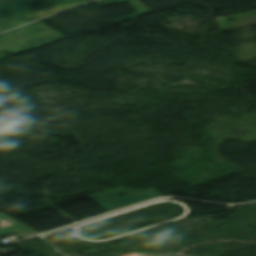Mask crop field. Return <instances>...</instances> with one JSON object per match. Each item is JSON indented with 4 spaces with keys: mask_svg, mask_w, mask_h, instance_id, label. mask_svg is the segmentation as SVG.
<instances>
[{
    "mask_svg": "<svg viewBox=\"0 0 256 256\" xmlns=\"http://www.w3.org/2000/svg\"><path fill=\"white\" fill-rule=\"evenodd\" d=\"M0 212V219H8V220H12L14 225L8 228H3L0 229V237L3 236H8V235H14L17 234L20 237L24 238V237H28L34 234H38L37 232H35L34 230L28 228L27 226L17 222L15 219L3 214Z\"/></svg>",
    "mask_w": 256,
    "mask_h": 256,
    "instance_id": "412701ff",
    "label": "crop field"
},
{
    "mask_svg": "<svg viewBox=\"0 0 256 256\" xmlns=\"http://www.w3.org/2000/svg\"><path fill=\"white\" fill-rule=\"evenodd\" d=\"M0 1H2V0H0Z\"/></svg>",
    "mask_w": 256,
    "mask_h": 256,
    "instance_id": "dd49c442",
    "label": "crop field"
},
{
    "mask_svg": "<svg viewBox=\"0 0 256 256\" xmlns=\"http://www.w3.org/2000/svg\"><path fill=\"white\" fill-rule=\"evenodd\" d=\"M92 0H6L0 2V24L18 25L63 11Z\"/></svg>",
    "mask_w": 256,
    "mask_h": 256,
    "instance_id": "8a807250",
    "label": "crop field"
},
{
    "mask_svg": "<svg viewBox=\"0 0 256 256\" xmlns=\"http://www.w3.org/2000/svg\"><path fill=\"white\" fill-rule=\"evenodd\" d=\"M62 34L38 21L0 35V50L13 54L22 51V47L38 40H49Z\"/></svg>",
    "mask_w": 256,
    "mask_h": 256,
    "instance_id": "ac0d7876",
    "label": "crop field"
},
{
    "mask_svg": "<svg viewBox=\"0 0 256 256\" xmlns=\"http://www.w3.org/2000/svg\"><path fill=\"white\" fill-rule=\"evenodd\" d=\"M158 196H162V194L158 192L155 188H153L151 190L144 191L135 195L105 199V200L97 201L96 203L99 204L107 212H109V211L130 206V205H134ZM101 203H104V204H101Z\"/></svg>",
    "mask_w": 256,
    "mask_h": 256,
    "instance_id": "34b2d1b8",
    "label": "crop field"
},
{
    "mask_svg": "<svg viewBox=\"0 0 256 256\" xmlns=\"http://www.w3.org/2000/svg\"><path fill=\"white\" fill-rule=\"evenodd\" d=\"M8 30L7 28H5L4 26L0 25V32Z\"/></svg>",
    "mask_w": 256,
    "mask_h": 256,
    "instance_id": "f4fd0767",
    "label": "crop field"
}]
</instances>
